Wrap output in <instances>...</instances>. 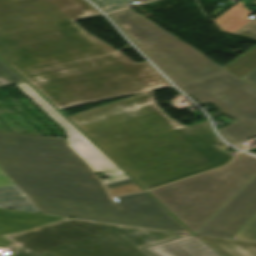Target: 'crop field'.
Here are the masks:
<instances>
[{"mask_svg":"<svg viewBox=\"0 0 256 256\" xmlns=\"http://www.w3.org/2000/svg\"><path fill=\"white\" fill-rule=\"evenodd\" d=\"M65 218L0 208V247H8L16 244L4 238L7 235L26 231Z\"/></svg>","mask_w":256,"mask_h":256,"instance_id":"10","label":"crop field"},{"mask_svg":"<svg viewBox=\"0 0 256 256\" xmlns=\"http://www.w3.org/2000/svg\"><path fill=\"white\" fill-rule=\"evenodd\" d=\"M252 13L244 8L242 2H239L214 20L222 30L235 32L251 20L247 16Z\"/></svg>","mask_w":256,"mask_h":256,"instance_id":"14","label":"crop field"},{"mask_svg":"<svg viewBox=\"0 0 256 256\" xmlns=\"http://www.w3.org/2000/svg\"><path fill=\"white\" fill-rule=\"evenodd\" d=\"M13 184L14 183L12 182V180L7 176V174L0 167V187L9 186Z\"/></svg>","mask_w":256,"mask_h":256,"instance_id":"21","label":"crop field"},{"mask_svg":"<svg viewBox=\"0 0 256 256\" xmlns=\"http://www.w3.org/2000/svg\"><path fill=\"white\" fill-rule=\"evenodd\" d=\"M99 14L86 0H0V57L58 110L170 87L73 21Z\"/></svg>","mask_w":256,"mask_h":256,"instance_id":"1","label":"crop field"},{"mask_svg":"<svg viewBox=\"0 0 256 256\" xmlns=\"http://www.w3.org/2000/svg\"><path fill=\"white\" fill-rule=\"evenodd\" d=\"M249 2L253 3L254 5H256V0H250Z\"/></svg>","mask_w":256,"mask_h":256,"instance_id":"24","label":"crop field"},{"mask_svg":"<svg viewBox=\"0 0 256 256\" xmlns=\"http://www.w3.org/2000/svg\"><path fill=\"white\" fill-rule=\"evenodd\" d=\"M0 207L41 213L16 185L0 188Z\"/></svg>","mask_w":256,"mask_h":256,"instance_id":"13","label":"crop field"},{"mask_svg":"<svg viewBox=\"0 0 256 256\" xmlns=\"http://www.w3.org/2000/svg\"><path fill=\"white\" fill-rule=\"evenodd\" d=\"M24 80L19 77L10 67L0 60V87L11 85Z\"/></svg>","mask_w":256,"mask_h":256,"instance_id":"17","label":"crop field"},{"mask_svg":"<svg viewBox=\"0 0 256 256\" xmlns=\"http://www.w3.org/2000/svg\"><path fill=\"white\" fill-rule=\"evenodd\" d=\"M107 15L177 86L227 71L130 8Z\"/></svg>","mask_w":256,"mask_h":256,"instance_id":"6","label":"crop field"},{"mask_svg":"<svg viewBox=\"0 0 256 256\" xmlns=\"http://www.w3.org/2000/svg\"><path fill=\"white\" fill-rule=\"evenodd\" d=\"M153 256H220L194 235L143 247Z\"/></svg>","mask_w":256,"mask_h":256,"instance_id":"11","label":"crop field"},{"mask_svg":"<svg viewBox=\"0 0 256 256\" xmlns=\"http://www.w3.org/2000/svg\"><path fill=\"white\" fill-rule=\"evenodd\" d=\"M223 67L238 77H243L256 68V46Z\"/></svg>","mask_w":256,"mask_h":256,"instance_id":"15","label":"crop field"},{"mask_svg":"<svg viewBox=\"0 0 256 256\" xmlns=\"http://www.w3.org/2000/svg\"><path fill=\"white\" fill-rule=\"evenodd\" d=\"M104 173L107 174L109 177H111V176H117V175H120V174H124L123 171H121V172H112V173H106V172H104Z\"/></svg>","mask_w":256,"mask_h":256,"instance_id":"23","label":"crop field"},{"mask_svg":"<svg viewBox=\"0 0 256 256\" xmlns=\"http://www.w3.org/2000/svg\"><path fill=\"white\" fill-rule=\"evenodd\" d=\"M256 174V158L241 152L222 167L148 191L195 233Z\"/></svg>","mask_w":256,"mask_h":256,"instance_id":"5","label":"crop field"},{"mask_svg":"<svg viewBox=\"0 0 256 256\" xmlns=\"http://www.w3.org/2000/svg\"><path fill=\"white\" fill-rule=\"evenodd\" d=\"M102 182L105 184L107 189L134 183V181H132L126 174L103 179Z\"/></svg>","mask_w":256,"mask_h":256,"instance_id":"19","label":"crop field"},{"mask_svg":"<svg viewBox=\"0 0 256 256\" xmlns=\"http://www.w3.org/2000/svg\"><path fill=\"white\" fill-rule=\"evenodd\" d=\"M179 87L199 102H209L225 115L239 120L218 129L231 144L256 136L254 86L228 71Z\"/></svg>","mask_w":256,"mask_h":256,"instance_id":"7","label":"crop field"},{"mask_svg":"<svg viewBox=\"0 0 256 256\" xmlns=\"http://www.w3.org/2000/svg\"><path fill=\"white\" fill-rule=\"evenodd\" d=\"M68 119L145 190L222 166L208 121L185 127L156 104L152 91Z\"/></svg>","mask_w":256,"mask_h":256,"instance_id":"2","label":"crop field"},{"mask_svg":"<svg viewBox=\"0 0 256 256\" xmlns=\"http://www.w3.org/2000/svg\"><path fill=\"white\" fill-rule=\"evenodd\" d=\"M92 1H94L105 12H110L117 9L132 6L131 1H134V0H92ZM143 1L147 2L151 0H143Z\"/></svg>","mask_w":256,"mask_h":256,"instance_id":"18","label":"crop field"},{"mask_svg":"<svg viewBox=\"0 0 256 256\" xmlns=\"http://www.w3.org/2000/svg\"><path fill=\"white\" fill-rule=\"evenodd\" d=\"M237 34L256 39V20L252 22L250 25H248L247 27H245L244 29H242Z\"/></svg>","mask_w":256,"mask_h":256,"instance_id":"20","label":"crop field"},{"mask_svg":"<svg viewBox=\"0 0 256 256\" xmlns=\"http://www.w3.org/2000/svg\"><path fill=\"white\" fill-rule=\"evenodd\" d=\"M256 87V69L241 78Z\"/></svg>","mask_w":256,"mask_h":256,"instance_id":"22","label":"crop field"},{"mask_svg":"<svg viewBox=\"0 0 256 256\" xmlns=\"http://www.w3.org/2000/svg\"><path fill=\"white\" fill-rule=\"evenodd\" d=\"M231 239L256 242V215L244 225Z\"/></svg>","mask_w":256,"mask_h":256,"instance_id":"16","label":"crop field"},{"mask_svg":"<svg viewBox=\"0 0 256 256\" xmlns=\"http://www.w3.org/2000/svg\"><path fill=\"white\" fill-rule=\"evenodd\" d=\"M0 166L42 213L190 233L146 192L111 202L65 140L0 133Z\"/></svg>","mask_w":256,"mask_h":256,"instance_id":"3","label":"crop field"},{"mask_svg":"<svg viewBox=\"0 0 256 256\" xmlns=\"http://www.w3.org/2000/svg\"><path fill=\"white\" fill-rule=\"evenodd\" d=\"M36 105L46 112L64 130L70 147L82 158L93 171H120L110 159L101 153L80 132H78L68 121L62 118L57 111L40 97L26 82L16 84Z\"/></svg>","mask_w":256,"mask_h":256,"instance_id":"9","label":"crop field"},{"mask_svg":"<svg viewBox=\"0 0 256 256\" xmlns=\"http://www.w3.org/2000/svg\"><path fill=\"white\" fill-rule=\"evenodd\" d=\"M9 238L19 243L9 256H152L141 247L176 237L165 230L73 218Z\"/></svg>","mask_w":256,"mask_h":256,"instance_id":"4","label":"crop field"},{"mask_svg":"<svg viewBox=\"0 0 256 256\" xmlns=\"http://www.w3.org/2000/svg\"><path fill=\"white\" fill-rule=\"evenodd\" d=\"M197 237L222 256H256V243L233 241L203 236Z\"/></svg>","mask_w":256,"mask_h":256,"instance_id":"12","label":"crop field"},{"mask_svg":"<svg viewBox=\"0 0 256 256\" xmlns=\"http://www.w3.org/2000/svg\"><path fill=\"white\" fill-rule=\"evenodd\" d=\"M256 214V175L195 234L230 239Z\"/></svg>","mask_w":256,"mask_h":256,"instance_id":"8","label":"crop field"}]
</instances>
